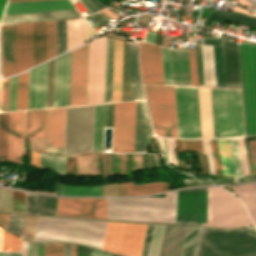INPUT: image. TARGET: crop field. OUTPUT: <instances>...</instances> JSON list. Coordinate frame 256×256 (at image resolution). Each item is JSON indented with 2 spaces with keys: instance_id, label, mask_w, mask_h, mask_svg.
Masks as SVG:
<instances>
[{
  "instance_id": "obj_61",
  "label": "crop field",
  "mask_w": 256,
  "mask_h": 256,
  "mask_svg": "<svg viewBox=\"0 0 256 256\" xmlns=\"http://www.w3.org/2000/svg\"><path fill=\"white\" fill-rule=\"evenodd\" d=\"M154 225H148L141 256H147Z\"/></svg>"
},
{
  "instance_id": "obj_59",
  "label": "crop field",
  "mask_w": 256,
  "mask_h": 256,
  "mask_svg": "<svg viewBox=\"0 0 256 256\" xmlns=\"http://www.w3.org/2000/svg\"><path fill=\"white\" fill-rule=\"evenodd\" d=\"M79 1L87 9L89 13H93L107 7L95 0H79Z\"/></svg>"
},
{
  "instance_id": "obj_68",
  "label": "crop field",
  "mask_w": 256,
  "mask_h": 256,
  "mask_svg": "<svg viewBox=\"0 0 256 256\" xmlns=\"http://www.w3.org/2000/svg\"><path fill=\"white\" fill-rule=\"evenodd\" d=\"M210 142H211V148H212L215 172H216V175H219L218 166H217V160H216V154H215V148H214V142H213V140H210Z\"/></svg>"
},
{
  "instance_id": "obj_80",
  "label": "crop field",
  "mask_w": 256,
  "mask_h": 256,
  "mask_svg": "<svg viewBox=\"0 0 256 256\" xmlns=\"http://www.w3.org/2000/svg\"><path fill=\"white\" fill-rule=\"evenodd\" d=\"M0 256H1V252H0Z\"/></svg>"
},
{
  "instance_id": "obj_71",
  "label": "crop field",
  "mask_w": 256,
  "mask_h": 256,
  "mask_svg": "<svg viewBox=\"0 0 256 256\" xmlns=\"http://www.w3.org/2000/svg\"><path fill=\"white\" fill-rule=\"evenodd\" d=\"M9 215H0V226L6 228Z\"/></svg>"
},
{
  "instance_id": "obj_62",
  "label": "crop field",
  "mask_w": 256,
  "mask_h": 256,
  "mask_svg": "<svg viewBox=\"0 0 256 256\" xmlns=\"http://www.w3.org/2000/svg\"><path fill=\"white\" fill-rule=\"evenodd\" d=\"M202 142H203L204 152L207 155L209 172L210 174L215 175L209 140H202Z\"/></svg>"
},
{
  "instance_id": "obj_45",
  "label": "crop field",
  "mask_w": 256,
  "mask_h": 256,
  "mask_svg": "<svg viewBox=\"0 0 256 256\" xmlns=\"http://www.w3.org/2000/svg\"><path fill=\"white\" fill-rule=\"evenodd\" d=\"M200 228L188 227L182 256H194Z\"/></svg>"
},
{
  "instance_id": "obj_44",
  "label": "crop field",
  "mask_w": 256,
  "mask_h": 256,
  "mask_svg": "<svg viewBox=\"0 0 256 256\" xmlns=\"http://www.w3.org/2000/svg\"><path fill=\"white\" fill-rule=\"evenodd\" d=\"M28 72L18 76L17 110L27 109Z\"/></svg>"
},
{
  "instance_id": "obj_10",
  "label": "crop field",
  "mask_w": 256,
  "mask_h": 256,
  "mask_svg": "<svg viewBox=\"0 0 256 256\" xmlns=\"http://www.w3.org/2000/svg\"><path fill=\"white\" fill-rule=\"evenodd\" d=\"M179 138H201L197 88L175 87Z\"/></svg>"
},
{
  "instance_id": "obj_47",
  "label": "crop field",
  "mask_w": 256,
  "mask_h": 256,
  "mask_svg": "<svg viewBox=\"0 0 256 256\" xmlns=\"http://www.w3.org/2000/svg\"><path fill=\"white\" fill-rule=\"evenodd\" d=\"M169 164L178 167L175 156L174 139L156 136ZM179 168V167H178Z\"/></svg>"
},
{
  "instance_id": "obj_50",
  "label": "crop field",
  "mask_w": 256,
  "mask_h": 256,
  "mask_svg": "<svg viewBox=\"0 0 256 256\" xmlns=\"http://www.w3.org/2000/svg\"><path fill=\"white\" fill-rule=\"evenodd\" d=\"M72 107L66 108L64 156H70Z\"/></svg>"
},
{
  "instance_id": "obj_64",
  "label": "crop field",
  "mask_w": 256,
  "mask_h": 256,
  "mask_svg": "<svg viewBox=\"0 0 256 256\" xmlns=\"http://www.w3.org/2000/svg\"><path fill=\"white\" fill-rule=\"evenodd\" d=\"M113 103L105 104L104 126L112 127Z\"/></svg>"
},
{
  "instance_id": "obj_39",
  "label": "crop field",
  "mask_w": 256,
  "mask_h": 256,
  "mask_svg": "<svg viewBox=\"0 0 256 256\" xmlns=\"http://www.w3.org/2000/svg\"><path fill=\"white\" fill-rule=\"evenodd\" d=\"M211 18H216L220 20L250 25V26H256V18L241 15L238 13H229V12H222V11H212Z\"/></svg>"
},
{
  "instance_id": "obj_52",
  "label": "crop field",
  "mask_w": 256,
  "mask_h": 256,
  "mask_svg": "<svg viewBox=\"0 0 256 256\" xmlns=\"http://www.w3.org/2000/svg\"><path fill=\"white\" fill-rule=\"evenodd\" d=\"M11 220L13 221L11 222ZM23 220L24 217L22 216L10 215L7 230L14 233L17 236H20Z\"/></svg>"
},
{
  "instance_id": "obj_55",
  "label": "crop field",
  "mask_w": 256,
  "mask_h": 256,
  "mask_svg": "<svg viewBox=\"0 0 256 256\" xmlns=\"http://www.w3.org/2000/svg\"><path fill=\"white\" fill-rule=\"evenodd\" d=\"M37 219H38V217L27 216L24 234H23L24 237H27V238H30L33 240L35 228H36V224H37Z\"/></svg>"
},
{
  "instance_id": "obj_46",
  "label": "crop field",
  "mask_w": 256,
  "mask_h": 256,
  "mask_svg": "<svg viewBox=\"0 0 256 256\" xmlns=\"http://www.w3.org/2000/svg\"><path fill=\"white\" fill-rule=\"evenodd\" d=\"M113 40L108 39L105 102H111Z\"/></svg>"
},
{
  "instance_id": "obj_25",
  "label": "crop field",
  "mask_w": 256,
  "mask_h": 256,
  "mask_svg": "<svg viewBox=\"0 0 256 256\" xmlns=\"http://www.w3.org/2000/svg\"><path fill=\"white\" fill-rule=\"evenodd\" d=\"M96 35L97 31L82 18L66 21L67 51Z\"/></svg>"
},
{
  "instance_id": "obj_5",
  "label": "crop field",
  "mask_w": 256,
  "mask_h": 256,
  "mask_svg": "<svg viewBox=\"0 0 256 256\" xmlns=\"http://www.w3.org/2000/svg\"><path fill=\"white\" fill-rule=\"evenodd\" d=\"M144 88L155 134L178 138L174 87Z\"/></svg>"
},
{
  "instance_id": "obj_32",
  "label": "crop field",
  "mask_w": 256,
  "mask_h": 256,
  "mask_svg": "<svg viewBox=\"0 0 256 256\" xmlns=\"http://www.w3.org/2000/svg\"><path fill=\"white\" fill-rule=\"evenodd\" d=\"M123 41L114 40L112 102L120 101Z\"/></svg>"
},
{
  "instance_id": "obj_35",
  "label": "crop field",
  "mask_w": 256,
  "mask_h": 256,
  "mask_svg": "<svg viewBox=\"0 0 256 256\" xmlns=\"http://www.w3.org/2000/svg\"><path fill=\"white\" fill-rule=\"evenodd\" d=\"M34 66L45 61L44 22L33 23Z\"/></svg>"
},
{
  "instance_id": "obj_20",
  "label": "crop field",
  "mask_w": 256,
  "mask_h": 256,
  "mask_svg": "<svg viewBox=\"0 0 256 256\" xmlns=\"http://www.w3.org/2000/svg\"><path fill=\"white\" fill-rule=\"evenodd\" d=\"M48 62L29 71L28 109L46 108Z\"/></svg>"
},
{
  "instance_id": "obj_72",
  "label": "crop field",
  "mask_w": 256,
  "mask_h": 256,
  "mask_svg": "<svg viewBox=\"0 0 256 256\" xmlns=\"http://www.w3.org/2000/svg\"><path fill=\"white\" fill-rule=\"evenodd\" d=\"M154 39H155V34L147 31L145 41L148 43L154 44Z\"/></svg>"
},
{
  "instance_id": "obj_65",
  "label": "crop field",
  "mask_w": 256,
  "mask_h": 256,
  "mask_svg": "<svg viewBox=\"0 0 256 256\" xmlns=\"http://www.w3.org/2000/svg\"><path fill=\"white\" fill-rule=\"evenodd\" d=\"M199 86H203L200 44L196 45Z\"/></svg>"
},
{
  "instance_id": "obj_56",
  "label": "crop field",
  "mask_w": 256,
  "mask_h": 256,
  "mask_svg": "<svg viewBox=\"0 0 256 256\" xmlns=\"http://www.w3.org/2000/svg\"><path fill=\"white\" fill-rule=\"evenodd\" d=\"M17 76L10 78L9 111L16 110Z\"/></svg>"
},
{
  "instance_id": "obj_54",
  "label": "crop field",
  "mask_w": 256,
  "mask_h": 256,
  "mask_svg": "<svg viewBox=\"0 0 256 256\" xmlns=\"http://www.w3.org/2000/svg\"><path fill=\"white\" fill-rule=\"evenodd\" d=\"M9 78L2 80L0 112L8 111Z\"/></svg>"
},
{
  "instance_id": "obj_42",
  "label": "crop field",
  "mask_w": 256,
  "mask_h": 256,
  "mask_svg": "<svg viewBox=\"0 0 256 256\" xmlns=\"http://www.w3.org/2000/svg\"><path fill=\"white\" fill-rule=\"evenodd\" d=\"M9 113L0 114V159L7 160Z\"/></svg>"
},
{
  "instance_id": "obj_27",
  "label": "crop field",
  "mask_w": 256,
  "mask_h": 256,
  "mask_svg": "<svg viewBox=\"0 0 256 256\" xmlns=\"http://www.w3.org/2000/svg\"><path fill=\"white\" fill-rule=\"evenodd\" d=\"M173 85L191 86L188 51L171 50Z\"/></svg>"
},
{
  "instance_id": "obj_67",
  "label": "crop field",
  "mask_w": 256,
  "mask_h": 256,
  "mask_svg": "<svg viewBox=\"0 0 256 256\" xmlns=\"http://www.w3.org/2000/svg\"><path fill=\"white\" fill-rule=\"evenodd\" d=\"M77 256H88V248L77 245Z\"/></svg>"
},
{
  "instance_id": "obj_18",
  "label": "crop field",
  "mask_w": 256,
  "mask_h": 256,
  "mask_svg": "<svg viewBox=\"0 0 256 256\" xmlns=\"http://www.w3.org/2000/svg\"><path fill=\"white\" fill-rule=\"evenodd\" d=\"M71 51L55 59L53 107L69 106Z\"/></svg>"
},
{
  "instance_id": "obj_9",
  "label": "crop field",
  "mask_w": 256,
  "mask_h": 256,
  "mask_svg": "<svg viewBox=\"0 0 256 256\" xmlns=\"http://www.w3.org/2000/svg\"><path fill=\"white\" fill-rule=\"evenodd\" d=\"M107 38L89 42L87 104L104 102Z\"/></svg>"
},
{
  "instance_id": "obj_28",
  "label": "crop field",
  "mask_w": 256,
  "mask_h": 256,
  "mask_svg": "<svg viewBox=\"0 0 256 256\" xmlns=\"http://www.w3.org/2000/svg\"><path fill=\"white\" fill-rule=\"evenodd\" d=\"M48 109L25 111L24 137H47Z\"/></svg>"
},
{
  "instance_id": "obj_77",
  "label": "crop field",
  "mask_w": 256,
  "mask_h": 256,
  "mask_svg": "<svg viewBox=\"0 0 256 256\" xmlns=\"http://www.w3.org/2000/svg\"><path fill=\"white\" fill-rule=\"evenodd\" d=\"M2 256H20V253L2 252Z\"/></svg>"
},
{
  "instance_id": "obj_60",
  "label": "crop field",
  "mask_w": 256,
  "mask_h": 256,
  "mask_svg": "<svg viewBox=\"0 0 256 256\" xmlns=\"http://www.w3.org/2000/svg\"><path fill=\"white\" fill-rule=\"evenodd\" d=\"M192 86H198L195 51H189Z\"/></svg>"
},
{
  "instance_id": "obj_6",
  "label": "crop field",
  "mask_w": 256,
  "mask_h": 256,
  "mask_svg": "<svg viewBox=\"0 0 256 256\" xmlns=\"http://www.w3.org/2000/svg\"><path fill=\"white\" fill-rule=\"evenodd\" d=\"M252 224L239 199L219 187L208 188L207 225Z\"/></svg>"
},
{
  "instance_id": "obj_36",
  "label": "crop field",
  "mask_w": 256,
  "mask_h": 256,
  "mask_svg": "<svg viewBox=\"0 0 256 256\" xmlns=\"http://www.w3.org/2000/svg\"><path fill=\"white\" fill-rule=\"evenodd\" d=\"M217 143L223 175L236 177L229 140H217Z\"/></svg>"
},
{
  "instance_id": "obj_49",
  "label": "crop field",
  "mask_w": 256,
  "mask_h": 256,
  "mask_svg": "<svg viewBox=\"0 0 256 256\" xmlns=\"http://www.w3.org/2000/svg\"><path fill=\"white\" fill-rule=\"evenodd\" d=\"M164 85H172L169 49L161 47Z\"/></svg>"
},
{
  "instance_id": "obj_33",
  "label": "crop field",
  "mask_w": 256,
  "mask_h": 256,
  "mask_svg": "<svg viewBox=\"0 0 256 256\" xmlns=\"http://www.w3.org/2000/svg\"><path fill=\"white\" fill-rule=\"evenodd\" d=\"M231 187L242 199L247 211L249 212L256 226V184L231 186Z\"/></svg>"
},
{
  "instance_id": "obj_23",
  "label": "crop field",
  "mask_w": 256,
  "mask_h": 256,
  "mask_svg": "<svg viewBox=\"0 0 256 256\" xmlns=\"http://www.w3.org/2000/svg\"><path fill=\"white\" fill-rule=\"evenodd\" d=\"M2 77L15 74L14 25H1Z\"/></svg>"
},
{
  "instance_id": "obj_58",
  "label": "crop field",
  "mask_w": 256,
  "mask_h": 256,
  "mask_svg": "<svg viewBox=\"0 0 256 256\" xmlns=\"http://www.w3.org/2000/svg\"><path fill=\"white\" fill-rule=\"evenodd\" d=\"M230 142H231V148H232V153H233V158H234L236 175H237V177H241L242 173H241V167H240V161H239V154H238L236 139L230 140Z\"/></svg>"
},
{
  "instance_id": "obj_24",
  "label": "crop field",
  "mask_w": 256,
  "mask_h": 256,
  "mask_svg": "<svg viewBox=\"0 0 256 256\" xmlns=\"http://www.w3.org/2000/svg\"><path fill=\"white\" fill-rule=\"evenodd\" d=\"M186 229L165 226L159 256H181Z\"/></svg>"
},
{
  "instance_id": "obj_43",
  "label": "crop field",
  "mask_w": 256,
  "mask_h": 256,
  "mask_svg": "<svg viewBox=\"0 0 256 256\" xmlns=\"http://www.w3.org/2000/svg\"><path fill=\"white\" fill-rule=\"evenodd\" d=\"M46 60L56 56L55 22H45Z\"/></svg>"
},
{
  "instance_id": "obj_53",
  "label": "crop field",
  "mask_w": 256,
  "mask_h": 256,
  "mask_svg": "<svg viewBox=\"0 0 256 256\" xmlns=\"http://www.w3.org/2000/svg\"><path fill=\"white\" fill-rule=\"evenodd\" d=\"M22 256H43V246L22 241Z\"/></svg>"
},
{
  "instance_id": "obj_75",
  "label": "crop field",
  "mask_w": 256,
  "mask_h": 256,
  "mask_svg": "<svg viewBox=\"0 0 256 256\" xmlns=\"http://www.w3.org/2000/svg\"><path fill=\"white\" fill-rule=\"evenodd\" d=\"M64 256H70V246L64 245Z\"/></svg>"
},
{
  "instance_id": "obj_70",
  "label": "crop field",
  "mask_w": 256,
  "mask_h": 256,
  "mask_svg": "<svg viewBox=\"0 0 256 256\" xmlns=\"http://www.w3.org/2000/svg\"><path fill=\"white\" fill-rule=\"evenodd\" d=\"M119 196L126 195L125 183H117Z\"/></svg>"
},
{
  "instance_id": "obj_11",
  "label": "crop field",
  "mask_w": 256,
  "mask_h": 256,
  "mask_svg": "<svg viewBox=\"0 0 256 256\" xmlns=\"http://www.w3.org/2000/svg\"><path fill=\"white\" fill-rule=\"evenodd\" d=\"M204 86L226 87L222 39H201Z\"/></svg>"
},
{
  "instance_id": "obj_21",
  "label": "crop field",
  "mask_w": 256,
  "mask_h": 256,
  "mask_svg": "<svg viewBox=\"0 0 256 256\" xmlns=\"http://www.w3.org/2000/svg\"><path fill=\"white\" fill-rule=\"evenodd\" d=\"M82 17L77 10L4 15L1 24L64 20Z\"/></svg>"
},
{
  "instance_id": "obj_76",
  "label": "crop field",
  "mask_w": 256,
  "mask_h": 256,
  "mask_svg": "<svg viewBox=\"0 0 256 256\" xmlns=\"http://www.w3.org/2000/svg\"><path fill=\"white\" fill-rule=\"evenodd\" d=\"M134 100H143L144 96L143 94H132Z\"/></svg>"
},
{
  "instance_id": "obj_74",
  "label": "crop field",
  "mask_w": 256,
  "mask_h": 256,
  "mask_svg": "<svg viewBox=\"0 0 256 256\" xmlns=\"http://www.w3.org/2000/svg\"><path fill=\"white\" fill-rule=\"evenodd\" d=\"M7 0H0V19L4 10V7L6 5Z\"/></svg>"
},
{
  "instance_id": "obj_13",
  "label": "crop field",
  "mask_w": 256,
  "mask_h": 256,
  "mask_svg": "<svg viewBox=\"0 0 256 256\" xmlns=\"http://www.w3.org/2000/svg\"><path fill=\"white\" fill-rule=\"evenodd\" d=\"M207 188L177 191L176 223L206 225Z\"/></svg>"
},
{
  "instance_id": "obj_69",
  "label": "crop field",
  "mask_w": 256,
  "mask_h": 256,
  "mask_svg": "<svg viewBox=\"0 0 256 256\" xmlns=\"http://www.w3.org/2000/svg\"><path fill=\"white\" fill-rule=\"evenodd\" d=\"M89 256H109V254L89 248Z\"/></svg>"
},
{
  "instance_id": "obj_2",
  "label": "crop field",
  "mask_w": 256,
  "mask_h": 256,
  "mask_svg": "<svg viewBox=\"0 0 256 256\" xmlns=\"http://www.w3.org/2000/svg\"><path fill=\"white\" fill-rule=\"evenodd\" d=\"M176 191L166 198L108 199L107 219L175 223Z\"/></svg>"
},
{
  "instance_id": "obj_15",
  "label": "crop field",
  "mask_w": 256,
  "mask_h": 256,
  "mask_svg": "<svg viewBox=\"0 0 256 256\" xmlns=\"http://www.w3.org/2000/svg\"><path fill=\"white\" fill-rule=\"evenodd\" d=\"M107 199L57 198V215L106 219Z\"/></svg>"
},
{
  "instance_id": "obj_63",
  "label": "crop field",
  "mask_w": 256,
  "mask_h": 256,
  "mask_svg": "<svg viewBox=\"0 0 256 256\" xmlns=\"http://www.w3.org/2000/svg\"><path fill=\"white\" fill-rule=\"evenodd\" d=\"M44 256H63V246H44Z\"/></svg>"
},
{
  "instance_id": "obj_30",
  "label": "crop field",
  "mask_w": 256,
  "mask_h": 256,
  "mask_svg": "<svg viewBox=\"0 0 256 256\" xmlns=\"http://www.w3.org/2000/svg\"><path fill=\"white\" fill-rule=\"evenodd\" d=\"M147 108L145 101L136 102L134 152L145 153Z\"/></svg>"
},
{
  "instance_id": "obj_34",
  "label": "crop field",
  "mask_w": 256,
  "mask_h": 256,
  "mask_svg": "<svg viewBox=\"0 0 256 256\" xmlns=\"http://www.w3.org/2000/svg\"><path fill=\"white\" fill-rule=\"evenodd\" d=\"M129 79L132 93H143L138 75L136 44L127 42Z\"/></svg>"
},
{
  "instance_id": "obj_26",
  "label": "crop field",
  "mask_w": 256,
  "mask_h": 256,
  "mask_svg": "<svg viewBox=\"0 0 256 256\" xmlns=\"http://www.w3.org/2000/svg\"><path fill=\"white\" fill-rule=\"evenodd\" d=\"M23 111L10 113L8 160L21 163Z\"/></svg>"
},
{
  "instance_id": "obj_48",
  "label": "crop field",
  "mask_w": 256,
  "mask_h": 256,
  "mask_svg": "<svg viewBox=\"0 0 256 256\" xmlns=\"http://www.w3.org/2000/svg\"><path fill=\"white\" fill-rule=\"evenodd\" d=\"M1 229V228H0ZM2 250L20 251V238L1 229ZM1 250V241H0Z\"/></svg>"
},
{
  "instance_id": "obj_7",
  "label": "crop field",
  "mask_w": 256,
  "mask_h": 256,
  "mask_svg": "<svg viewBox=\"0 0 256 256\" xmlns=\"http://www.w3.org/2000/svg\"><path fill=\"white\" fill-rule=\"evenodd\" d=\"M247 136L256 135V45L240 43Z\"/></svg>"
},
{
  "instance_id": "obj_4",
  "label": "crop field",
  "mask_w": 256,
  "mask_h": 256,
  "mask_svg": "<svg viewBox=\"0 0 256 256\" xmlns=\"http://www.w3.org/2000/svg\"><path fill=\"white\" fill-rule=\"evenodd\" d=\"M195 256H256V235L201 228Z\"/></svg>"
},
{
  "instance_id": "obj_78",
  "label": "crop field",
  "mask_w": 256,
  "mask_h": 256,
  "mask_svg": "<svg viewBox=\"0 0 256 256\" xmlns=\"http://www.w3.org/2000/svg\"><path fill=\"white\" fill-rule=\"evenodd\" d=\"M71 256H76V245L71 244Z\"/></svg>"
},
{
  "instance_id": "obj_38",
  "label": "crop field",
  "mask_w": 256,
  "mask_h": 256,
  "mask_svg": "<svg viewBox=\"0 0 256 256\" xmlns=\"http://www.w3.org/2000/svg\"><path fill=\"white\" fill-rule=\"evenodd\" d=\"M104 104L95 105L93 151H102Z\"/></svg>"
},
{
  "instance_id": "obj_14",
  "label": "crop field",
  "mask_w": 256,
  "mask_h": 256,
  "mask_svg": "<svg viewBox=\"0 0 256 256\" xmlns=\"http://www.w3.org/2000/svg\"><path fill=\"white\" fill-rule=\"evenodd\" d=\"M94 105L73 107L71 156L92 151Z\"/></svg>"
},
{
  "instance_id": "obj_12",
  "label": "crop field",
  "mask_w": 256,
  "mask_h": 256,
  "mask_svg": "<svg viewBox=\"0 0 256 256\" xmlns=\"http://www.w3.org/2000/svg\"><path fill=\"white\" fill-rule=\"evenodd\" d=\"M135 102L114 103L112 152H133Z\"/></svg>"
},
{
  "instance_id": "obj_29",
  "label": "crop field",
  "mask_w": 256,
  "mask_h": 256,
  "mask_svg": "<svg viewBox=\"0 0 256 256\" xmlns=\"http://www.w3.org/2000/svg\"><path fill=\"white\" fill-rule=\"evenodd\" d=\"M65 108L49 109L47 144L63 147Z\"/></svg>"
},
{
  "instance_id": "obj_66",
  "label": "crop field",
  "mask_w": 256,
  "mask_h": 256,
  "mask_svg": "<svg viewBox=\"0 0 256 256\" xmlns=\"http://www.w3.org/2000/svg\"><path fill=\"white\" fill-rule=\"evenodd\" d=\"M37 197L27 195V213L36 214Z\"/></svg>"
},
{
  "instance_id": "obj_73",
  "label": "crop field",
  "mask_w": 256,
  "mask_h": 256,
  "mask_svg": "<svg viewBox=\"0 0 256 256\" xmlns=\"http://www.w3.org/2000/svg\"><path fill=\"white\" fill-rule=\"evenodd\" d=\"M106 158H107V173H108V177H109V176H111L109 153H106Z\"/></svg>"
},
{
  "instance_id": "obj_31",
  "label": "crop field",
  "mask_w": 256,
  "mask_h": 256,
  "mask_svg": "<svg viewBox=\"0 0 256 256\" xmlns=\"http://www.w3.org/2000/svg\"><path fill=\"white\" fill-rule=\"evenodd\" d=\"M202 138H213L209 88H198Z\"/></svg>"
},
{
  "instance_id": "obj_1",
  "label": "crop field",
  "mask_w": 256,
  "mask_h": 256,
  "mask_svg": "<svg viewBox=\"0 0 256 256\" xmlns=\"http://www.w3.org/2000/svg\"><path fill=\"white\" fill-rule=\"evenodd\" d=\"M107 222L39 217L34 240L67 241L102 247Z\"/></svg>"
},
{
  "instance_id": "obj_41",
  "label": "crop field",
  "mask_w": 256,
  "mask_h": 256,
  "mask_svg": "<svg viewBox=\"0 0 256 256\" xmlns=\"http://www.w3.org/2000/svg\"><path fill=\"white\" fill-rule=\"evenodd\" d=\"M62 195L102 196L101 185L95 187H76L61 185Z\"/></svg>"
},
{
  "instance_id": "obj_79",
  "label": "crop field",
  "mask_w": 256,
  "mask_h": 256,
  "mask_svg": "<svg viewBox=\"0 0 256 256\" xmlns=\"http://www.w3.org/2000/svg\"><path fill=\"white\" fill-rule=\"evenodd\" d=\"M26 1H38V0H10L9 3H14V2H26Z\"/></svg>"
},
{
  "instance_id": "obj_51",
  "label": "crop field",
  "mask_w": 256,
  "mask_h": 256,
  "mask_svg": "<svg viewBox=\"0 0 256 256\" xmlns=\"http://www.w3.org/2000/svg\"><path fill=\"white\" fill-rule=\"evenodd\" d=\"M164 226L155 225L148 256H158Z\"/></svg>"
},
{
  "instance_id": "obj_37",
  "label": "crop field",
  "mask_w": 256,
  "mask_h": 256,
  "mask_svg": "<svg viewBox=\"0 0 256 256\" xmlns=\"http://www.w3.org/2000/svg\"><path fill=\"white\" fill-rule=\"evenodd\" d=\"M170 184L162 182H154L148 184H138L126 183L127 195H141L150 194L156 192H162L168 190Z\"/></svg>"
},
{
  "instance_id": "obj_19",
  "label": "crop field",
  "mask_w": 256,
  "mask_h": 256,
  "mask_svg": "<svg viewBox=\"0 0 256 256\" xmlns=\"http://www.w3.org/2000/svg\"><path fill=\"white\" fill-rule=\"evenodd\" d=\"M16 74L33 66L32 23L15 25Z\"/></svg>"
},
{
  "instance_id": "obj_40",
  "label": "crop field",
  "mask_w": 256,
  "mask_h": 256,
  "mask_svg": "<svg viewBox=\"0 0 256 256\" xmlns=\"http://www.w3.org/2000/svg\"><path fill=\"white\" fill-rule=\"evenodd\" d=\"M39 168L52 170L58 174H65V158L47 156L40 153Z\"/></svg>"
},
{
  "instance_id": "obj_8",
  "label": "crop field",
  "mask_w": 256,
  "mask_h": 256,
  "mask_svg": "<svg viewBox=\"0 0 256 256\" xmlns=\"http://www.w3.org/2000/svg\"><path fill=\"white\" fill-rule=\"evenodd\" d=\"M147 225L108 222L102 249L140 256Z\"/></svg>"
},
{
  "instance_id": "obj_17",
  "label": "crop field",
  "mask_w": 256,
  "mask_h": 256,
  "mask_svg": "<svg viewBox=\"0 0 256 256\" xmlns=\"http://www.w3.org/2000/svg\"><path fill=\"white\" fill-rule=\"evenodd\" d=\"M139 55L143 84L163 85L160 47L139 42Z\"/></svg>"
},
{
  "instance_id": "obj_16",
  "label": "crop field",
  "mask_w": 256,
  "mask_h": 256,
  "mask_svg": "<svg viewBox=\"0 0 256 256\" xmlns=\"http://www.w3.org/2000/svg\"><path fill=\"white\" fill-rule=\"evenodd\" d=\"M88 43L72 51L70 106L86 104Z\"/></svg>"
},
{
  "instance_id": "obj_57",
  "label": "crop field",
  "mask_w": 256,
  "mask_h": 256,
  "mask_svg": "<svg viewBox=\"0 0 256 256\" xmlns=\"http://www.w3.org/2000/svg\"><path fill=\"white\" fill-rule=\"evenodd\" d=\"M243 176L249 174L243 138L237 139Z\"/></svg>"
},
{
  "instance_id": "obj_3",
  "label": "crop field",
  "mask_w": 256,
  "mask_h": 256,
  "mask_svg": "<svg viewBox=\"0 0 256 256\" xmlns=\"http://www.w3.org/2000/svg\"><path fill=\"white\" fill-rule=\"evenodd\" d=\"M214 138L245 136L241 89L210 88Z\"/></svg>"
},
{
  "instance_id": "obj_22",
  "label": "crop field",
  "mask_w": 256,
  "mask_h": 256,
  "mask_svg": "<svg viewBox=\"0 0 256 256\" xmlns=\"http://www.w3.org/2000/svg\"><path fill=\"white\" fill-rule=\"evenodd\" d=\"M75 9L69 0L8 4L4 14Z\"/></svg>"
}]
</instances>
